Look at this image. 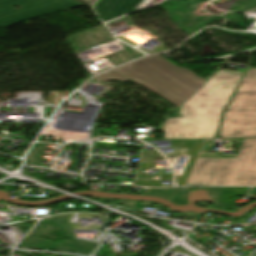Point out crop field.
Returning <instances> with one entry per match:
<instances>
[{
  "mask_svg": "<svg viewBox=\"0 0 256 256\" xmlns=\"http://www.w3.org/2000/svg\"><path fill=\"white\" fill-rule=\"evenodd\" d=\"M24 8L16 11L11 6ZM83 5L74 0H0V26H9L28 19Z\"/></svg>",
  "mask_w": 256,
  "mask_h": 256,
  "instance_id": "4",
  "label": "crop field"
},
{
  "mask_svg": "<svg viewBox=\"0 0 256 256\" xmlns=\"http://www.w3.org/2000/svg\"><path fill=\"white\" fill-rule=\"evenodd\" d=\"M243 73L220 69L185 101L179 118H168L159 129L165 139L213 138L223 107L228 103Z\"/></svg>",
  "mask_w": 256,
  "mask_h": 256,
  "instance_id": "2",
  "label": "crop field"
},
{
  "mask_svg": "<svg viewBox=\"0 0 256 256\" xmlns=\"http://www.w3.org/2000/svg\"><path fill=\"white\" fill-rule=\"evenodd\" d=\"M80 1H83L85 3L92 5L95 0H80Z\"/></svg>",
  "mask_w": 256,
  "mask_h": 256,
  "instance_id": "7",
  "label": "crop field"
},
{
  "mask_svg": "<svg viewBox=\"0 0 256 256\" xmlns=\"http://www.w3.org/2000/svg\"><path fill=\"white\" fill-rule=\"evenodd\" d=\"M221 137H256V69L247 70L225 109ZM256 185V139H244L236 159L198 158L187 185Z\"/></svg>",
  "mask_w": 256,
  "mask_h": 256,
  "instance_id": "1",
  "label": "crop field"
},
{
  "mask_svg": "<svg viewBox=\"0 0 256 256\" xmlns=\"http://www.w3.org/2000/svg\"><path fill=\"white\" fill-rule=\"evenodd\" d=\"M93 79L98 82L132 80L177 107L207 82L158 55H150Z\"/></svg>",
  "mask_w": 256,
  "mask_h": 256,
  "instance_id": "3",
  "label": "crop field"
},
{
  "mask_svg": "<svg viewBox=\"0 0 256 256\" xmlns=\"http://www.w3.org/2000/svg\"><path fill=\"white\" fill-rule=\"evenodd\" d=\"M203 143H204V140H199L198 141V143H197V145L195 147V150H194V152H193V154L191 156V159H190V161H189V163H188V165H187L183 175L181 176V178H180V180L178 182V184H179L178 186L184 185V183H185V181L187 179L188 173H189V171H190V169H191V167H192V165H193V163H194V161H195V159H196V157H197V155H198V153H199Z\"/></svg>",
  "mask_w": 256,
  "mask_h": 256,
  "instance_id": "6",
  "label": "crop field"
},
{
  "mask_svg": "<svg viewBox=\"0 0 256 256\" xmlns=\"http://www.w3.org/2000/svg\"><path fill=\"white\" fill-rule=\"evenodd\" d=\"M136 0H99L94 9L104 20L118 18L127 13Z\"/></svg>",
  "mask_w": 256,
  "mask_h": 256,
  "instance_id": "5",
  "label": "crop field"
}]
</instances>
